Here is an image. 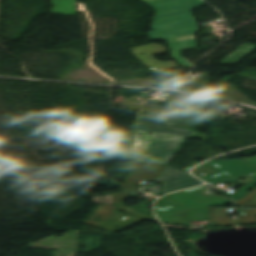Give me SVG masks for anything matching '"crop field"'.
<instances>
[{"label": "crop field", "instance_id": "22f410ed", "mask_svg": "<svg viewBox=\"0 0 256 256\" xmlns=\"http://www.w3.org/2000/svg\"><path fill=\"white\" fill-rule=\"evenodd\" d=\"M255 47L256 45L254 44H244L239 49H237L234 53L228 56L225 60L219 63V65L236 64L244 56H246L250 51H252Z\"/></svg>", "mask_w": 256, "mask_h": 256}, {"label": "crop field", "instance_id": "733c2abd", "mask_svg": "<svg viewBox=\"0 0 256 256\" xmlns=\"http://www.w3.org/2000/svg\"><path fill=\"white\" fill-rule=\"evenodd\" d=\"M237 182H242V183H247V182H244V181H241V180H236ZM255 184H251V183H247L244 187H242L239 191L229 195L231 198L233 199H238V198H242L244 197L247 193H248V190L254 186Z\"/></svg>", "mask_w": 256, "mask_h": 256}, {"label": "crop field", "instance_id": "f4fd0767", "mask_svg": "<svg viewBox=\"0 0 256 256\" xmlns=\"http://www.w3.org/2000/svg\"><path fill=\"white\" fill-rule=\"evenodd\" d=\"M184 142L185 138L152 133L148 158L142 161L168 165Z\"/></svg>", "mask_w": 256, "mask_h": 256}, {"label": "crop field", "instance_id": "3316defc", "mask_svg": "<svg viewBox=\"0 0 256 256\" xmlns=\"http://www.w3.org/2000/svg\"><path fill=\"white\" fill-rule=\"evenodd\" d=\"M142 133V135H140ZM148 133H151L149 131H143L139 130L137 133V136L132 144L133 150H135V153H140V158H146L148 154V149L150 145L151 136H148Z\"/></svg>", "mask_w": 256, "mask_h": 256}, {"label": "crop field", "instance_id": "dd49c442", "mask_svg": "<svg viewBox=\"0 0 256 256\" xmlns=\"http://www.w3.org/2000/svg\"><path fill=\"white\" fill-rule=\"evenodd\" d=\"M210 166L221 172L201 178L204 181L216 184L218 182L228 183L232 180L239 179L256 171V169L239 159L224 161H209Z\"/></svg>", "mask_w": 256, "mask_h": 256}, {"label": "crop field", "instance_id": "8a807250", "mask_svg": "<svg viewBox=\"0 0 256 256\" xmlns=\"http://www.w3.org/2000/svg\"><path fill=\"white\" fill-rule=\"evenodd\" d=\"M157 10L151 29V40L166 39L171 48V56L186 68L194 64L182 57L180 51L204 49L211 46L197 47L194 33L197 25L191 10L205 4L202 0H142Z\"/></svg>", "mask_w": 256, "mask_h": 256}, {"label": "crop field", "instance_id": "5142ce71", "mask_svg": "<svg viewBox=\"0 0 256 256\" xmlns=\"http://www.w3.org/2000/svg\"><path fill=\"white\" fill-rule=\"evenodd\" d=\"M237 206H256V187L244 198L235 201Z\"/></svg>", "mask_w": 256, "mask_h": 256}, {"label": "crop field", "instance_id": "d8731c3e", "mask_svg": "<svg viewBox=\"0 0 256 256\" xmlns=\"http://www.w3.org/2000/svg\"><path fill=\"white\" fill-rule=\"evenodd\" d=\"M155 182H161L162 193L201 185L203 182L184 171L167 166Z\"/></svg>", "mask_w": 256, "mask_h": 256}, {"label": "crop field", "instance_id": "cbeb9de0", "mask_svg": "<svg viewBox=\"0 0 256 256\" xmlns=\"http://www.w3.org/2000/svg\"><path fill=\"white\" fill-rule=\"evenodd\" d=\"M238 211L240 218L236 221L237 224H255L256 209H234Z\"/></svg>", "mask_w": 256, "mask_h": 256}, {"label": "crop field", "instance_id": "4a817a6b", "mask_svg": "<svg viewBox=\"0 0 256 256\" xmlns=\"http://www.w3.org/2000/svg\"><path fill=\"white\" fill-rule=\"evenodd\" d=\"M241 160L247 162L248 164L254 166L256 168V156L255 157H249V158H242ZM246 180L247 182H251V183H255L256 184V172L246 176Z\"/></svg>", "mask_w": 256, "mask_h": 256}, {"label": "crop field", "instance_id": "5a996713", "mask_svg": "<svg viewBox=\"0 0 256 256\" xmlns=\"http://www.w3.org/2000/svg\"><path fill=\"white\" fill-rule=\"evenodd\" d=\"M111 195H113L115 204H120L121 211H125L129 214H133V215H136V216H139V217L151 220V221L158 222L156 218H151L149 216H146L142 213H139L133 209H130V208L124 206L123 199L129 198L128 192L123 191L122 193H116V194H111ZM111 195L103 197L104 203H102L101 197H95V198H93V200L95 203L113 204Z\"/></svg>", "mask_w": 256, "mask_h": 256}, {"label": "crop field", "instance_id": "e52e79f7", "mask_svg": "<svg viewBox=\"0 0 256 256\" xmlns=\"http://www.w3.org/2000/svg\"><path fill=\"white\" fill-rule=\"evenodd\" d=\"M133 55L150 68L155 74L178 66L174 61L161 62L153 56L166 53L165 47L159 44H150L131 48Z\"/></svg>", "mask_w": 256, "mask_h": 256}, {"label": "crop field", "instance_id": "d9b57169", "mask_svg": "<svg viewBox=\"0 0 256 256\" xmlns=\"http://www.w3.org/2000/svg\"><path fill=\"white\" fill-rule=\"evenodd\" d=\"M216 172H219V171L213 169L212 167H210L206 163L201 165V166H199V167H197L196 169H194L192 171V173L194 175H196L197 177H199V178L207 176V175H210V174H213V173H216Z\"/></svg>", "mask_w": 256, "mask_h": 256}, {"label": "crop field", "instance_id": "34b2d1b8", "mask_svg": "<svg viewBox=\"0 0 256 256\" xmlns=\"http://www.w3.org/2000/svg\"><path fill=\"white\" fill-rule=\"evenodd\" d=\"M174 126V123L139 117L138 122L135 124V126L130 132V135L124 148L123 157L128 160L141 161V159H137L139 154H134V151L130 150L131 144L136 136L137 130L139 129L149 130L152 132H160L185 138H207V135L196 133L192 129L176 128Z\"/></svg>", "mask_w": 256, "mask_h": 256}, {"label": "crop field", "instance_id": "412701ff", "mask_svg": "<svg viewBox=\"0 0 256 256\" xmlns=\"http://www.w3.org/2000/svg\"><path fill=\"white\" fill-rule=\"evenodd\" d=\"M98 209L95 210L94 215L87 221H84L97 228L104 229L116 233L126 227H129L143 219H139L132 216H124L117 210V206L114 205H98ZM100 217V218H94ZM119 226L117 229L115 227Z\"/></svg>", "mask_w": 256, "mask_h": 256}, {"label": "crop field", "instance_id": "d1516ede", "mask_svg": "<svg viewBox=\"0 0 256 256\" xmlns=\"http://www.w3.org/2000/svg\"><path fill=\"white\" fill-rule=\"evenodd\" d=\"M55 7L52 13L60 15H76L75 0H51Z\"/></svg>", "mask_w": 256, "mask_h": 256}, {"label": "crop field", "instance_id": "bc2a9ffb", "mask_svg": "<svg viewBox=\"0 0 256 256\" xmlns=\"http://www.w3.org/2000/svg\"><path fill=\"white\" fill-rule=\"evenodd\" d=\"M144 106V105H143ZM142 109H143V107H142ZM142 111V110H141ZM141 114V113H140ZM140 116V115H139ZM143 117V116H142Z\"/></svg>", "mask_w": 256, "mask_h": 256}, {"label": "crop field", "instance_id": "28ad6ade", "mask_svg": "<svg viewBox=\"0 0 256 256\" xmlns=\"http://www.w3.org/2000/svg\"><path fill=\"white\" fill-rule=\"evenodd\" d=\"M211 225L228 226L234 225L233 220L228 219L227 208H210Z\"/></svg>", "mask_w": 256, "mask_h": 256}, {"label": "crop field", "instance_id": "ac0d7876", "mask_svg": "<svg viewBox=\"0 0 256 256\" xmlns=\"http://www.w3.org/2000/svg\"><path fill=\"white\" fill-rule=\"evenodd\" d=\"M156 203L154 210L161 221L191 226V220L208 221L209 205H227L232 201L203 186L169 194Z\"/></svg>", "mask_w": 256, "mask_h": 256}]
</instances>
